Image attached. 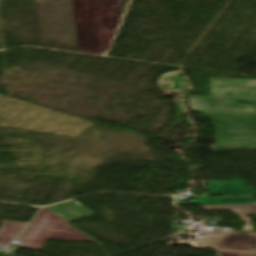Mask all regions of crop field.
I'll return each instance as SVG.
<instances>
[{
  "label": "crop field",
  "mask_w": 256,
  "mask_h": 256,
  "mask_svg": "<svg viewBox=\"0 0 256 256\" xmlns=\"http://www.w3.org/2000/svg\"><path fill=\"white\" fill-rule=\"evenodd\" d=\"M191 111H210L209 97H190Z\"/></svg>",
  "instance_id": "6"
},
{
  "label": "crop field",
  "mask_w": 256,
  "mask_h": 256,
  "mask_svg": "<svg viewBox=\"0 0 256 256\" xmlns=\"http://www.w3.org/2000/svg\"><path fill=\"white\" fill-rule=\"evenodd\" d=\"M255 96L256 80L210 79L211 111L256 113V107L238 105L239 101L253 102Z\"/></svg>",
  "instance_id": "2"
},
{
  "label": "crop field",
  "mask_w": 256,
  "mask_h": 256,
  "mask_svg": "<svg viewBox=\"0 0 256 256\" xmlns=\"http://www.w3.org/2000/svg\"><path fill=\"white\" fill-rule=\"evenodd\" d=\"M213 151L256 149V144L211 146Z\"/></svg>",
  "instance_id": "7"
},
{
  "label": "crop field",
  "mask_w": 256,
  "mask_h": 256,
  "mask_svg": "<svg viewBox=\"0 0 256 256\" xmlns=\"http://www.w3.org/2000/svg\"><path fill=\"white\" fill-rule=\"evenodd\" d=\"M18 239V247L36 249H43L46 240L94 242L45 208Z\"/></svg>",
  "instance_id": "1"
},
{
  "label": "crop field",
  "mask_w": 256,
  "mask_h": 256,
  "mask_svg": "<svg viewBox=\"0 0 256 256\" xmlns=\"http://www.w3.org/2000/svg\"><path fill=\"white\" fill-rule=\"evenodd\" d=\"M219 256H256V254L218 251Z\"/></svg>",
  "instance_id": "8"
},
{
  "label": "crop field",
  "mask_w": 256,
  "mask_h": 256,
  "mask_svg": "<svg viewBox=\"0 0 256 256\" xmlns=\"http://www.w3.org/2000/svg\"><path fill=\"white\" fill-rule=\"evenodd\" d=\"M205 211L231 210L236 214H255L256 204L201 206ZM236 240V241H234ZM202 248L256 252V236L248 234L212 231L207 239L198 238ZM225 247V248H223Z\"/></svg>",
  "instance_id": "3"
},
{
  "label": "crop field",
  "mask_w": 256,
  "mask_h": 256,
  "mask_svg": "<svg viewBox=\"0 0 256 256\" xmlns=\"http://www.w3.org/2000/svg\"><path fill=\"white\" fill-rule=\"evenodd\" d=\"M4 223L0 229V247L1 245L8 246V244L19 235L21 230L27 223L24 222H10L1 221Z\"/></svg>",
  "instance_id": "5"
},
{
  "label": "crop field",
  "mask_w": 256,
  "mask_h": 256,
  "mask_svg": "<svg viewBox=\"0 0 256 256\" xmlns=\"http://www.w3.org/2000/svg\"><path fill=\"white\" fill-rule=\"evenodd\" d=\"M48 209L55 214H60L61 218L67 222L94 215L74 200L48 207Z\"/></svg>",
  "instance_id": "4"
}]
</instances>
